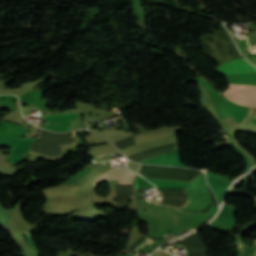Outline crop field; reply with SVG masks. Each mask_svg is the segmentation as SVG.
Returning a JSON list of instances; mask_svg holds the SVG:
<instances>
[{"label":"crop field","mask_w":256,"mask_h":256,"mask_svg":"<svg viewBox=\"0 0 256 256\" xmlns=\"http://www.w3.org/2000/svg\"><path fill=\"white\" fill-rule=\"evenodd\" d=\"M217 72L223 75L238 74L246 72H255L256 68L243 58L228 61L217 68H214ZM229 84L237 85H255L256 86V72L246 73L238 75L225 76ZM256 107V106H254Z\"/></svg>","instance_id":"crop-field-1"},{"label":"crop field","mask_w":256,"mask_h":256,"mask_svg":"<svg viewBox=\"0 0 256 256\" xmlns=\"http://www.w3.org/2000/svg\"><path fill=\"white\" fill-rule=\"evenodd\" d=\"M43 119L48 122H54V126L44 124L43 128L50 129L56 132H65L69 129L71 120L78 119L77 113L44 115Z\"/></svg>","instance_id":"crop-field-2"},{"label":"crop field","mask_w":256,"mask_h":256,"mask_svg":"<svg viewBox=\"0 0 256 256\" xmlns=\"http://www.w3.org/2000/svg\"><path fill=\"white\" fill-rule=\"evenodd\" d=\"M129 171L126 168L110 169L97 178L92 187L98 185L103 180H120L119 183H131L134 174Z\"/></svg>","instance_id":"crop-field-3"},{"label":"crop field","mask_w":256,"mask_h":256,"mask_svg":"<svg viewBox=\"0 0 256 256\" xmlns=\"http://www.w3.org/2000/svg\"><path fill=\"white\" fill-rule=\"evenodd\" d=\"M33 141L34 139L21 138L9 155L8 160L12 162L20 161L22 154L29 151Z\"/></svg>","instance_id":"crop-field-4"},{"label":"crop field","mask_w":256,"mask_h":256,"mask_svg":"<svg viewBox=\"0 0 256 256\" xmlns=\"http://www.w3.org/2000/svg\"><path fill=\"white\" fill-rule=\"evenodd\" d=\"M134 184L136 185V182H134ZM136 188V187H135Z\"/></svg>","instance_id":"crop-field-5"},{"label":"crop field","mask_w":256,"mask_h":256,"mask_svg":"<svg viewBox=\"0 0 256 256\" xmlns=\"http://www.w3.org/2000/svg\"><path fill=\"white\" fill-rule=\"evenodd\" d=\"M100 157H102V156H100ZM97 158H99V157H97Z\"/></svg>","instance_id":"crop-field-6"},{"label":"crop field","mask_w":256,"mask_h":256,"mask_svg":"<svg viewBox=\"0 0 256 256\" xmlns=\"http://www.w3.org/2000/svg\"><path fill=\"white\" fill-rule=\"evenodd\" d=\"M134 255V254H133Z\"/></svg>","instance_id":"crop-field-7"}]
</instances>
